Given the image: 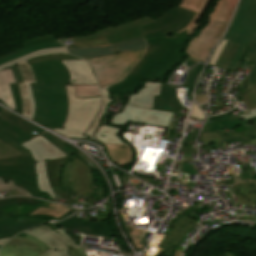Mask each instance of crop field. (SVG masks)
Instances as JSON below:
<instances>
[{
  "mask_svg": "<svg viewBox=\"0 0 256 256\" xmlns=\"http://www.w3.org/2000/svg\"><path fill=\"white\" fill-rule=\"evenodd\" d=\"M30 66L36 80L30 83L35 105L33 121L48 129L61 128L68 110L65 83H70L69 73L60 61Z\"/></svg>",
  "mask_w": 256,
  "mask_h": 256,
  "instance_id": "8a807250",
  "label": "crop field"
},
{
  "mask_svg": "<svg viewBox=\"0 0 256 256\" xmlns=\"http://www.w3.org/2000/svg\"><path fill=\"white\" fill-rule=\"evenodd\" d=\"M145 39L147 53L122 82L106 88L109 93L130 95L145 81L162 82L165 74L185 58L183 50L191 38L175 34Z\"/></svg>",
  "mask_w": 256,
  "mask_h": 256,
  "instance_id": "ac0d7876",
  "label": "crop field"
},
{
  "mask_svg": "<svg viewBox=\"0 0 256 256\" xmlns=\"http://www.w3.org/2000/svg\"><path fill=\"white\" fill-rule=\"evenodd\" d=\"M223 40L228 42L215 66L235 71L246 45L256 43V0L241 1L240 8Z\"/></svg>",
  "mask_w": 256,
  "mask_h": 256,
  "instance_id": "34b2d1b8",
  "label": "crop field"
},
{
  "mask_svg": "<svg viewBox=\"0 0 256 256\" xmlns=\"http://www.w3.org/2000/svg\"><path fill=\"white\" fill-rule=\"evenodd\" d=\"M238 0H218L209 15L208 24L192 39L184 52L186 55L206 61L210 50L221 38Z\"/></svg>",
  "mask_w": 256,
  "mask_h": 256,
  "instance_id": "412701ff",
  "label": "crop field"
},
{
  "mask_svg": "<svg viewBox=\"0 0 256 256\" xmlns=\"http://www.w3.org/2000/svg\"><path fill=\"white\" fill-rule=\"evenodd\" d=\"M69 111L66 122L62 129L52 131L66 138H86L82 134L97 115L101 97L97 98H76L74 85H66Z\"/></svg>",
  "mask_w": 256,
  "mask_h": 256,
  "instance_id": "f4fd0767",
  "label": "crop field"
},
{
  "mask_svg": "<svg viewBox=\"0 0 256 256\" xmlns=\"http://www.w3.org/2000/svg\"><path fill=\"white\" fill-rule=\"evenodd\" d=\"M144 51L88 59L96 71L100 89L119 82L142 57Z\"/></svg>",
  "mask_w": 256,
  "mask_h": 256,
  "instance_id": "dd49c442",
  "label": "crop field"
},
{
  "mask_svg": "<svg viewBox=\"0 0 256 256\" xmlns=\"http://www.w3.org/2000/svg\"><path fill=\"white\" fill-rule=\"evenodd\" d=\"M0 177H13L15 185L25 188L32 196L43 198L36 186L32 156L21 155L0 160Z\"/></svg>",
  "mask_w": 256,
  "mask_h": 256,
  "instance_id": "e52e79f7",
  "label": "crop field"
},
{
  "mask_svg": "<svg viewBox=\"0 0 256 256\" xmlns=\"http://www.w3.org/2000/svg\"><path fill=\"white\" fill-rule=\"evenodd\" d=\"M38 134H33L32 132ZM44 131L17 116L4 111L0 114V139L9 144L24 156L30 155L19 144L43 133Z\"/></svg>",
  "mask_w": 256,
  "mask_h": 256,
  "instance_id": "d8731c3e",
  "label": "crop field"
},
{
  "mask_svg": "<svg viewBox=\"0 0 256 256\" xmlns=\"http://www.w3.org/2000/svg\"><path fill=\"white\" fill-rule=\"evenodd\" d=\"M72 161L65 165L62 176V187L69 196L83 195L87 200L93 199L90 194L93 192L94 177L89 167L72 155Z\"/></svg>",
  "mask_w": 256,
  "mask_h": 256,
  "instance_id": "5a996713",
  "label": "crop field"
},
{
  "mask_svg": "<svg viewBox=\"0 0 256 256\" xmlns=\"http://www.w3.org/2000/svg\"><path fill=\"white\" fill-rule=\"evenodd\" d=\"M21 146L28 150L36 161V180L39 189L47 192L48 196L56 201L48 183L44 160L62 158L66 157L67 155H65L40 135L21 144Z\"/></svg>",
  "mask_w": 256,
  "mask_h": 256,
  "instance_id": "3316defc",
  "label": "crop field"
},
{
  "mask_svg": "<svg viewBox=\"0 0 256 256\" xmlns=\"http://www.w3.org/2000/svg\"><path fill=\"white\" fill-rule=\"evenodd\" d=\"M195 12L174 6L165 15L155 19L158 23L139 28L143 37L174 34L188 25Z\"/></svg>",
  "mask_w": 256,
  "mask_h": 256,
  "instance_id": "28ad6ade",
  "label": "crop field"
},
{
  "mask_svg": "<svg viewBox=\"0 0 256 256\" xmlns=\"http://www.w3.org/2000/svg\"><path fill=\"white\" fill-rule=\"evenodd\" d=\"M172 115L173 113L142 109L126 104L121 113H117L116 116L113 114L110 124L125 126L127 121H131L167 127Z\"/></svg>",
  "mask_w": 256,
  "mask_h": 256,
  "instance_id": "d1516ede",
  "label": "crop field"
},
{
  "mask_svg": "<svg viewBox=\"0 0 256 256\" xmlns=\"http://www.w3.org/2000/svg\"><path fill=\"white\" fill-rule=\"evenodd\" d=\"M146 49V43L144 39L138 38L131 41L115 44V45H107L101 47H91V48H70L67 49L68 52L75 56L82 57L84 59L112 55L116 53L129 52L135 50Z\"/></svg>",
  "mask_w": 256,
  "mask_h": 256,
  "instance_id": "22f410ed",
  "label": "crop field"
},
{
  "mask_svg": "<svg viewBox=\"0 0 256 256\" xmlns=\"http://www.w3.org/2000/svg\"><path fill=\"white\" fill-rule=\"evenodd\" d=\"M50 249L42 241L26 235V237H14L1 250L0 256H39Z\"/></svg>",
  "mask_w": 256,
  "mask_h": 256,
  "instance_id": "cbeb9de0",
  "label": "crop field"
},
{
  "mask_svg": "<svg viewBox=\"0 0 256 256\" xmlns=\"http://www.w3.org/2000/svg\"><path fill=\"white\" fill-rule=\"evenodd\" d=\"M72 233V229L78 228L81 233L103 236V239L111 240L114 235V230L110 228L108 221L92 222L72 216L59 223H55ZM73 234V233H72ZM75 236V235H74ZM79 241L81 237L75 236Z\"/></svg>",
  "mask_w": 256,
  "mask_h": 256,
  "instance_id": "5142ce71",
  "label": "crop field"
},
{
  "mask_svg": "<svg viewBox=\"0 0 256 256\" xmlns=\"http://www.w3.org/2000/svg\"><path fill=\"white\" fill-rule=\"evenodd\" d=\"M24 233H29L39 238L51 248L40 256H72L64 244L68 241L47 226L41 225Z\"/></svg>",
  "mask_w": 256,
  "mask_h": 256,
  "instance_id": "d9b57169",
  "label": "crop field"
},
{
  "mask_svg": "<svg viewBox=\"0 0 256 256\" xmlns=\"http://www.w3.org/2000/svg\"><path fill=\"white\" fill-rule=\"evenodd\" d=\"M45 201L27 198L14 197L0 200V218L29 215Z\"/></svg>",
  "mask_w": 256,
  "mask_h": 256,
  "instance_id": "733c2abd",
  "label": "crop field"
},
{
  "mask_svg": "<svg viewBox=\"0 0 256 256\" xmlns=\"http://www.w3.org/2000/svg\"><path fill=\"white\" fill-rule=\"evenodd\" d=\"M18 67L21 71L23 80V83L18 84L22 100L23 116L32 120L34 116V105L29 88V82H35L34 76L26 61L18 64Z\"/></svg>",
  "mask_w": 256,
  "mask_h": 256,
  "instance_id": "4a817a6b",
  "label": "crop field"
},
{
  "mask_svg": "<svg viewBox=\"0 0 256 256\" xmlns=\"http://www.w3.org/2000/svg\"><path fill=\"white\" fill-rule=\"evenodd\" d=\"M68 68L71 83L97 84L92 66L84 60L61 61Z\"/></svg>",
  "mask_w": 256,
  "mask_h": 256,
  "instance_id": "bc2a9ffb",
  "label": "crop field"
},
{
  "mask_svg": "<svg viewBox=\"0 0 256 256\" xmlns=\"http://www.w3.org/2000/svg\"><path fill=\"white\" fill-rule=\"evenodd\" d=\"M156 21L149 15L130 21L126 22L117 26H112V27H107L104 29H101L95 33L89 34V35H83V36H78V37H73V40H78V39H95V38H102L106 36H110L113 34L120 33L124 30L135 28V27H142L147 24L155 23Z\"/></svg>",
  "mask_w": 256,
  "mask_h": 256,
  "instance_id": "214f88e0",
  "label": "crop field"
},
{
  "mask_svg": "<svg viewBox=\"0 0 256 256\" xmlns=\"http://www.w3.org/2000/svg\"><path fill=\"white\" fill-rule=\"evenodd\" d=\"M160 85V82H146L138 91L128 97L126 103L152 109L153 94H159Z\"/></svg>",
  "mask_w": 256,
  "mask_h": 256,
  "instance_id": "92a150f3",
  "label": "crop field"
},
{
  "mask_svg": "<svg viewBox=\"0 0 256 256\" xmlns=\"http://www.w3.org/2000/svg\"><path fill=\"white\" fill-rule=\"evenodd\" d=\"M43 222L45 221L34 218H12L0 220V239L14 236L19 232Z\"/></svg>",
  "mask_w": 256,
  "mask_h": 256,
  "instance_id": "dafd665d",
  "label": "crop field"
},
{
  "mask_svg": "<svg viewBox=\"0 0 256 256\" xmlns=\"http://www.w3.org/2000/svg\"><path fill=\"white\" fill-rule=\"evenodd\" d=\"M181 108L175 89L162 84L159 96L154 95L153 109L179 113Z\"/></svg>",
  "mask_w": 256,
  "mask_h": 256,
  "instance_id": "00972430",
  "label": "crop field"
},
{
  "mask_svg": "<svg viewBox=\"0 0 256 256\" xmlns=\"http://www.w3.org/2000/svg\"><path fill=\"white\" fill-rule=\"evenodd\" d=\"M197 222L186 217H180L175 224L169 229L167 235L162 239L159 247L164 243L177 246L178 242L182 239L185 233L193 227Z\"/></svg>",
  "mask_w": 256,
  "mask_h": 256,
  "instance_id": "a9b5d70f",
  "label": "crop field"
},
{
  "mask_svg": "<svg viewBox=\"0 0 256 256\" xmlns=\"http://www.w3.org/2000/svg\"><path fill=\"white\" fill-rule=\"evenodd\" d=\"M210 1L211 0H182L180 2V4L178 5L179 7L197 12L193 20L190 22V24L182 30H188L187 35H193L194 30H196L203 24V22L199 24L195 23L200 19L202 13L206 9Z\"/></svg>",
  "mask_w": 256,
  "mask_h": 256,
  "instance_id": "4177f3b9",
  "label": "crop field"
},
{
  "mask_svg": "<svg viewBox=\"0 0 256 256\" xmlns=\"http://www.w3.org/2000/svg\"><path fill=\"white\" fill-rule=\"evenodd\" d=\"M69 157L45 161L46 172L51 187L61 186V175L64 165L69 161Z\"/></svg>",
  "mask_w": 256,
  "mask_h": 256,
  "instance_id": "730fd06b",
  "label": "crop field"
},
{
  "mask_svg": "<svg viewBox=\"0 0 256 256\" xmlns=\"http://www.w3.org/2000/svg\"><path fill=\"white\" fill-rule=\"evenodd\" d=\"M112 158L120 166H125L132 161V151L127 144L105 145Z\"/></svg>",
  "mask_w": 256,
  "mask_h": 256,
  "instance_id": "eef30255",
  "label": "crop field"
},
{
  "mask_svg": "<svg viewBox=\"0 0 256 256\" xmlns=\"http://www.w3.org/2000/svg\"><path fill=\"white\" fill-rule=\"evenodd\" d=\"M8 83H15L10 68L0 71V100L14 110Z\"/></svg>",
  "mask_w": 256,
  "mask_h": 256,
  "instance_id": "ae1a2a85",
  "label": "crop field"
},
{
  "mask_svg": "<svg viewBox=\"0 0 256 256\" xmlns=\"http://www.w3.org/2000/svg\"><path fill=\"white\" fill-rule=\"evenodd\" d=\"M109 114H107V116L105 117V119L103 120L98 132L95 135V138L107 143V144H111V143H124L123 141H121L116 133L121 131L120 129L111 127V126H107L105 124L106 119L108 118ZM108 120V119H107ZM107 122V121H106Z\"/></svg>",
  "mask_w": 256,
  "mask_h": 256,
  "instance_id": "d3111659",
  "label": "crop field"
},
{
  "mask_svg": "<svg viewBox=\"0 0 256 256\" xmlns=\"http://www.w3.org/2000/svg\"><path fill=\"white\" fill-rule=\"evenodd\" d=\"M102 96H103V106L102 109L99 113V115L97 116V118L95 119L94 123L92 124V126L90 127V129L88 130V132L86 133V136L90 137L93 139V134L95 133L97 127L99 126L102 118L104 117L107 109H108V105L111 102H114L116 100L117 95L114 94H109L106 89L101 90Z\"/></svg>",
  "mask_w": 256,
  "mask_h": 256,
  "instance_id": "750c4746",
  "label": "crop field"
},
{
  "mask_svg": "<svg viewBox=\"0 0 256 256\" xmlns=\"http://www.w3.org/2000/svg\"><path fill=\"white\" fill-rule=\"evenodd\" d=\"M240 100L246 105L251 114L241 115L244 119L256 116V85L246 90L240 97Z\"/></svg>",
  "mask_w": 256,
  "mask_h": 256,
  "instance_id": "bd1437ed",
  "label": "crop field"
},
{
  "mask_svg": "<svg viewBox=\"0 0 256 256\" xmlns=\"http://www.w3.org/2000/svg\"><path fill=\"white\" fill-rule=\"evenodd\" d=\"M71 209L73 208L46 202L44 205H42L39 209H37L31 215L47 214V215L58 218L63 214H65L66 212L70 211Z\"/></svg>",
  "mask_w": 256,
  "mask_h": 256,
  "instance_id": "1d83c4d3",
  "label": "crop field"
},
{
  "mask_svg": "<svg viewBox=\"0 0 256 256\" xmlns=\"http://www.w3.org/2000/svg\"><path fill=\"white\" fill-rule=\"evenodd\" d=\"M57 47H63L60 43H53V44H47V45H40V46H34V47H30V48H27L23 51H20L14 55H11L7 58H4L2 60H0V65L1 64H4L6 62H9L11 60H14L16 58H19L21 56H24V55H27L29 53H32L34 51H37V50H41V49H47V48H57Z\"/></svg>",
  "mask_w": 256,
  "mask_h": 256,
  "instance_id": "120bbe31",
  "label": "crop field"
},
{
  "mask_svg": "<svg viewBox=\"0 0 256 256\" xmlns=\"http://www.w3.org/2000/svg\"><path fill=\"white\" fill-rule=\"evenodd\" d=\"M43 54H69L66 52V49L65 48H58V49H48V50H42V51H38V52H34L32 54H29L27 56H24V57H21L19 59H16L14 61H11L9 63H6L4 65H1L0 66V70L8 67V66H11L13 64H17L23 60H27L31 57H34V56H38V55H43Z\"/></svg>",
  "mask_w": 256,
  "mask_h": 256,
  "instance_id": "d32e631a",
  "label": "crop field"
},
{
  "mask_svg": "<svg viewBox=\"0 0 256 256\" xmlns=\"http://www.w3.org/2000/svg\"><path fill=\"white\" fill-rule=\"evenodd\" d=\"M141 36L142 35H141L139 29L136 28V29L124 31V32L114 35V36L107 37L106 40H107L108 44H114V43L134 39V38L141 37Z\"/></svg>",
  "mask_w": 256,
  "mask_h": 256,
  "instance_id": "5866460e",
  "label": "crop field"
},
{
  "mask_svg": "<svg viewBox=\"0 0 256 256\" xmlns=\"http://www.w3.org/2000/svg\"><path fill=\"white\" fill-rule=\"evenodd\" d=\"M53 42H58L52 35H45V36H40V37H36V38H33L29 41H26L24 43H21V45L23 47L15 50L14 52L12 53H9L7 55H4V56H1L0 59L4 58V57H7L13 53H16L26 47H29V46H33V45H39V44H47V43H53Z\"/></svg>",
  "mask_w": 256,
  "mask_h": 256,
  "instance_id": "028f5c9d",
  "label": "crop field"
},
{
  "mask_svg": "<svg viewBox=\"0 0 256 256\" xmlns=\"http://www.w3.org/2000/svg\"><path fill=\"white\" fill-rule=\"evenodd\" d=\"M76 97H97L100 96L97 86L75 85Z\"/></svg>",
  "mask_w": 256,
  "mask_h": 256,
  "instance_id": "e1f06a70",
  "label": "crop field"
},
{
  "mask_svg": "<svg viewBox=\"0 0 256 256\" xmlns=\"http://www.w3.org/2000/svg\"><path fill=\"white\" fill-rule=\"evenodd\" d=\"M253 134L254 133L249 132L247 130H244L240 133L231 131L222 142L233 143L234 141H240V142L245 143V142L253 140V138L250 137Z\"/></svg>",
  "mask_w": 256,
  "mask_h": 256,
  "instance_id": "0bd39190",
  "label": "crop field"
},
{
  "mask_svg": "<svg viewBox=\"0 0 256 256\" xmlns=\"http://www.w3.org/2000/svg\"><path fill=\"white\" fill-rule=\"evenodd\" d=\"M45 225L49 226L50 228H53L56 232H58L59 234L64 236L70 242L73 250L76 252V254L78 256H86L83 248L81 246L77 245L76 242L73 240V238L66 231H64L63 229H61L51 223H47Z\"/></svg>",
  "mask_w": 256,
  "mask_h": 256,
  "instance_id": "b80d0937",
  "label": "crop field"
},
{
  "mask_svg": "<svg viewBox=\"0 0 256 256\" xmlns=\"http://www.w3.org/2000/svg\"><path fill=\"white\" fill-rule=\"evenodd\" d=\"M75 59H79V58H76L72 55H44V56L31 58L27 61L29 64H31V63L43 62L47 60H75Z\"/></svg>",
  "mask_w": 256,
  "mask_h": 256,
  "instance_id": "c035e120",
  "label": "crop field"
},
{
  "mask_svg": "<svg viewBox=\"0 0 256 256\" xmlns=\"http://www.w3.org/2000/svg\"><path fill=\"white\" fill-rule=\"evenodd\" d=\"M44 138H46L48 141H50L52 144H54L57 148H59L61 151H63L68 156L75 154L76 151L65 144H63L61 141L50 135L49 133L45 132L42 134Z\"/></svg>",
  "mask_w": 256,
  "mask_h": 256,
  "instance_id": "c21b1889",
  "label": "crop field"
},
{
  "mask_svg": "<svg viewBox=\"0 0 256 256\" xmlns=\"http://www.w3.org/2000/svg\"><path fill=\"white\" fill-rule=\"evenodd\" d=\"M13 189H16L21 195H30L26 190L14 186L12 178H0V192Z\"/></svg>",
  "mask_w": 256,
  "mask_h": 256,
  "instance_id": "03da06ac",
  "label": "crop field"
},
{
  "mask_svg": "<svg viewBox=\"0 0 256 256\" xmlns=\"http://www.w3.org/2000/svg\"><path fill=\"white\" fill-rule=\"evenodd\" d=\"M247 54L256 55V44L252 45L248 50ZM254 65L250 71V74L247 79V87L256 83V56L253 60Z\"/></svg>",
  "mask_w": 256,
  "mask_h": 256,
  "instance_id": "b54c1fbb",
  "label": "crop field"
},
{
  "mask_svg": "<svg viewBox=\"0 0 256 256\" xmlns=\"http://www.w3.org/2000/svg\"><path fill=\"white\" fill-rule=\"evenodd\" d=\"M232 188L236 196L256 192L254 183L234 185Z\"/></svg>",
  "mask_w": 256,
  "mask_h": 256,
  "instance_id": "5d738f31",
  "label": "crop field"
},
{
  "mask_svg": "<svg viewBox=\"0 0 256 256\" xmlns=\"http://www.w3.org/2000/svg\"><path fill=\"white\" fill-rule=\"evenodd\" d=\"M16 155H20V153L0 140V159Z\"/></svg>",
  "mask_w": 256,
  "mask_h": 256,
  "instance_id": "d23c7cc5",
  "label": "crop field"
},
{
  "mask_svg": "<svg viewBox=\"0 0 256 256\" xmlns=\"http://www.w3.org/2000/svg\"><path fill=\"white\" fill-rule=\"evenodd\" d=\"M9 85H10V89H11V93H12V97H13L16 112L22 114V108H21V101H20V94H19L18 86H17V84H9Z\"/></svg>",
  "mask_w": 256,
  "mask_h": 256,
  "instance_id": "425ffa30",
  "label": "crop field"
},
{
  "mask_svg": "<svg viewBox=\"0 0 256 256\" xmlns=\"http://www.w3.org/2000/svg\"><path fill=\"white\" fill-rule=\"evenodd\" d=\"M74 44L81 47H91V46L106 45L107 42L105 38H102V39H96V40H79V41H76V43Z\"/></svg>",
  "mask_w": 256,
  "mask_h": 256,
  "instance_id": "25e5ab78",
  "label": "crop field"
},
{
  "mask_svg": "<svg viewBox=\"0 0 256 256\" xmlns=\"http://www.w3.org/2000/svg\"><path fill=\"white\" fill-rule=\"evenodd\" d=\"M221 137L217 135L215 132L203 137L200 141L204 142L201 148H207L209 147L210 143L217 142L219 143L221 141Z\"/></svg>",
  "mask_w": 256,
  "mask_h": 256,
  "instance_id": "73cf0c24",
  "label": "crop field"
},
{
  "mask_svg": "<svg viewBox=\"0 0 256 256\" xmlns=\"http://www.w3.org/2000/svg\"><path fill=\"white\" fill-rule=\"evenodd\" d=\"M203 67H204L203 64L198 65V67L195 69L193 74L190 76L185 88H188L189 90H193V86L195 84V81H196L197 77L200 75Z\"/></svg>",
  "mask_w": 256,
  "mask_h": 256,
  "instance_id": "89e229c0",
  "label": "crop field"
},
{
  "mask_svg": "<svg viewBox=\"0 0 256 256\" xmlns=\"http://www.w3.org/2000/svg\"><path fill=\"white\" fill-rule=\"evenodd\" d=\"M222 128H224V127H222V126L220 125L219 121H218V122H215V123H213V124H211V125H209V126H207V127H205V128L203 129V131H202V134H201L199 140H200L203 136H205V135H207V134H209V133H211V132H213V131L222 129ZM199 140H198V141H199Z\"/></svg>",
  "mask_w": 256,
  "mask_h": 256,
  "instance_id": "1f2cbd36",
  "label": "crop field"
},
{
  "mask_svg": "<svg viewBox=\"0 0 256 256\" xmlns=\"http://www.w3.org/2000/svg\"><path fill=\"white\" fill-rule=\"evenodd\" d=\"M225 43H226V41H223L219 44V46L214 51V54H213L209 64L214 65L215 61L217 60V58L219 57V55L223 49Z\"/></svg>",
  "mask_w": 256,
  "mask_h": 256,
  "instance_id": "dbb93151",
  "label": "crop field"
},
{
  "mask_svg": "<svg viewBox=\"0 0 256 256\" xmlns=\"http://www.w3.org/2000/svg\"><path fill=\"white\" fill-rule=\"evenodd\" d=\"M191 117L197 118V119H205V116L202 114V112L199 110V108L196 106V104L193 105Z\"/></svg>",
  "mask_w": 256,
  "mask_h": 256,
  "instance_id": "0fb4a251",
  "label": "crop field"
},
{
  "mask_svg": "<svg viewBox=\"0 0 256 256\" xmlns=\"http://www.w3.org/2000/svg\"><path fill=\"white\" fill-rule=\"evenodd\" d=\"M221 125L228 128L229 130L240 125L241 121H220Z\"/></svg>",
  "mask_w": 256,
  "mask_h": 256,
  "instance_id": "1d79db26",
  "label": "crop field"
},
{
  "mask_svg": "<svg viewBox=\"0 0 256 256\" xmlns=\"http://www.w3.org/2000/svg\"><path fill=\"white\" fill-rule=\"evenodd\" d=\"M236 204L253 205L248 195L237 197Z\"/></svg>",
  "mask_w": 256,
  "mask_h": 256,
  "instance_id": "9d1cf04e",
  "label": "crop field"
},
{
  "mask_svg": "<svg viewBox=\"0 0 256 256\" xmlns=\"http://www.w3.org/2000/svg\"><path fill=\"white\" fill-rule=\"evenodd\" d=\"M208 120H234V117L233 115L230 116L229 113H227L219 116L209 117Z\"/></svg>",
  "mask_w": 256,
  "mask_h": 256,
  "instance_id": "447ae74e",
  "label": "crop field"
},
{
  "mask_svg": "<svg viewBox=\"0 0 256 256\" xmlns=\"http://www.w3.org/2000/svg\"><path fill=\"white\" fill-rule=\"evenodd\" d=\"M11 69H12L13 74H14L15 82H16V83L22 82V80H21V75H20V72H19V70H18V68H17V65L11 66Z\"/></svg>",
  "mask_w": 256,
  "mask_h": 256,
  "instance_id": "0765c3eb",
  "label": "crop field"
},
{
  "mask_svg": "<svg viewBox=\"0 0 256 256\" xmlns=\"http://www.w3.org/2000/svg\"><path fill=\"white\" fill-rule=\"evenodd\" d=\"M187 174L196 175L197 171L193 170V165H187Z\"/></svg>",
  "mask_w": 256,
  "mask_h": 256,
  "instance_id": "db79e9e6",
  "label": "crop field"
},
{
  "mask_svg": "<svg viewBox=\"0 0 256 256\" xmlns=\"http://www.w3.org/2000/svg\"><path fill=\"white\" fill-rule=\"evenodd\" d=\"M192 148H193V147H189V146H185V145H183V147H182V148H180V150H179V151H181V152H185V153H190V152H191V150H192Z\"/></svg>",
  "mask_w": 256,
  "mask_h": 256,
  "instance_id": "7b73153f",
  "label": "crop field"
},
{
  "mask_svg": "<svg viewBox=\"0 0 256 256\" xmlns=\"http://www.w3.org/2000/svg\"><path fill=\"white\" fill-rule=\"evenodd\" d=\"M197 133H198V131H193L192 133H190V135L187 137V139L195 141Z\"/></svg>",
  "mask_w": 256,
  "mask_h": 256,
  "instance_id": "78b8030e",
  "label": "crop field"
},
{
  "mask_svg": "<svg viewBox=\"0 0 256 256\" xmlns=\"http://www.w3.org/2000/svg\"><path fill=\"white\" fill-rule=\"evenodd\" d=\"M194 142L193 141H188V140H184L182 141V144H185V145H189V146H192Z\"/></svg>",
  "mask_w": 256,
  "mask_h": 256,
  "instance_id": "0f1d7ab4",
  "label": "crop field"
},
{
  "mask_svg": "<svg viewBox=\"0 0 256 256\" xmlns=\"http://www.w3.org/2000/svg\"><path fill=\"white\" fill-rule=\"evenodd\" d=\"M12 238V237H11ZM11 238L0 240V247L3 246L6 242H8Z\"/></svg>",
  "mask_w": 256,
  "mask_h": 256,
  "instance_id": "e1d0b9f6",
  "label": "crop field"
},
{
  "mask_svg": "<svg viewBox=\"0 0 256 256\" xmlns=\"http://www.w3.org/2000/svg\"><path fill=\"white\" fill-rule=\"evenodd\" d=\"M172 126H173V124H172V123H170V124H169V126H168V129H167L166 134H165V136H164V137H166V136H167V134L169 133V131H170V129L172 128ZM167 137H168V136H167Z\"/></svg>",
  "mask_w": 256,
  "mask_h": 256,
  "instance_id": "ae633e8c",
  "label": "crop field"
},
{
  "mask_svg": "<svg viewBox=\"0 0 256 256\" xmlns=\"http://www.w3.org/2000/svg\"><path fill=\"white\" fill-rule=\"evenodd\" d=\"M66 246L69 248V250L71 251V253L73 254V256H77L74 251L72 250V248L70 247V244L67 243Z\"/></svg>",
  "mask_w": 256,
  "mask_h": 256,
  "instance_id": "d14b1444",
  "label": "crop field"
},
{
  "mask_svg": "<svg viewBox=\"0 0 256 256\" xmlns=\"http://www.w3.org/2000/svg\"><path fill=\"white\" fill-rule=\"evenodd\" d=\"M84 202H86V203H88V204L94 206V203H93V202H96V201H95V200H90V201H86V200H85Z\"/></svg>",
  "mask_w": 256,
  "mask_h": 256,
  "instance_id": "c39391a2",
  "label": "crop field"
},
{
  "mask_svg": "<svg viewBox=\"0 0 256 256\" xmlns=\"http://www.w3.org/2000/svg\"><path fill=\"white\" fill-rule=\"evenodd\" d=\"M120 252H121L122 254L130 255V253H129V252H127V251H125L124 249H120Z\"/></svg>",
  "mask_w": 256,
  "mask_h": 256,
  "instance_id": "ade564c9",
  "label": "crop field"
},
{
  "mask_svg": "<svg viewBox=\"0 0 256 256\" xmlns=\"http://www.w3.org/2000/svg\"><path fill=\"white\" fill-rule=\"evenodd\" d=\"M246 144H253V145H255V146H256V140L251 141V142H248V143H246ZM246 144H244V145H246Z\"/></svg>",
  "mask_w": 256,
  "mask_h": 256,
  "instance_id": "c5b07064",
  "label": "crop field"
},
{
  "mask_svg": "<svg viewBox=\"0 0 256 256\" xmlns=\"http://www.w3.org/2000/svg\"><path fill=\"white\" fill-rule=\"evenodd\" d=\"M174 256H181V252H175Z\"/></svg>",
  "mask_w": 256,
  "mask_h": 256,
  "instance_id": "c3a83c6f",
  "label": "crop field"
},
{
  "mask_svg": "<svg viewBox=\"0 0 256 256\" xmlns=\"http://www.w3.org/2000/svg\"><path fill=\"white\" fill-rule=\"evenodd\" d=\"M213 122H215V121H207V123H206L205 126H207V125H209V124H211V123H213Z\"/></svg>",
  "mask_w": 256,
  "mask_h": 256,
  "instance_id": "fb207236",
  "label": "crop field"
},
{
  "mask_svg": "<svg viewBox=\"0 0 256 256\" xmlns=\"http://www.w3.org/2000/svg\"><path fill=\"white\" fill-rule=\"evenodd\" d=\"M169 135H170V134H169ZM170 136H173V135H170ZM179 136H180V135L175 134V136H173V137H178V138H179Z\"/></svg>",
  "mask_w": 256,
  "mask_h": 256,
  "instance_id": "7312dd0a",
  "label": "crop field"
},
{
  "mask_svg": "<svg viewBox=\"0 0 256 256\" xmlns=\"http://www.w3.org/2000/svg\"><path fill=\"white\" fill-rule=\"evenodd\" d=\"M4 109L0 108V113L3 111Z\"/></svg>",
  "mask_w": 256,
  "mask_h": 256,
  "instance_id": "180be81f",
  "label": "crop field"
}]
</instances>
